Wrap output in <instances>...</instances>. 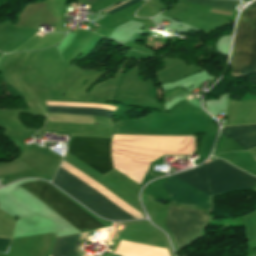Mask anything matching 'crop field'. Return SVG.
Instances as JSON below:
<instances>
[{
  "instance_id": "8a807250",
  "label": "crop field",
  "mask_w": 256,
  "mask_h": 256,
  "mask_svg": "<svg viewBox=\"0 0 256 256\" xmlns=\"http://www.w3.org/2000/svg\"><path fill=\"white\" fill-rule=\"evenodd\" d=\"M180 175L220 194L229 192L252 190L256 185V177L231 166L225 161L215 160L194 170H188ZM178 174L169 176L211 197L219 196L216 193L180 176ZM163 183V187L170 197V203L183 206L203 207L212 211V198L196 191L171 178Z\"/></svg>"
},
{
  "instance_id": "ac0d7876",
  "label": "crop field",
  "mask_w": 256,
  "mask_h": 256,
  "mask_svg": "<svg viewBox=\"0 0 256 256\" xmlns=\"http://www.w3.org/2000/svg\"><path fill=\"white\" fill-rule=\"evenodd\" d=\"M111 138L74 136L68 152L100 173L113 168ZM53 183L91 211L112 220L135 219L60 167Z\"/></svg>"
},
{
  "instance_id": "34b2d1b8",
  "label": "crop field",
  "mask_w": 256,
  "mask_h": 256,
  "mask_svg": "<svg viewBox=\"0 0 256 256\" xmlns=\"http://www.w3.org/2000/svg\"><path fill=\"white\" fill-rule=\"evenodd\" d=\"M21 186L80 232L102 227L100 223L78 208L50 185L39 181H33Z\"/></svg>"
},
{
  "instance_id": "412701ff",
  "label": "crop field",
  "mask_w": 256,
  "mask_h": 256,
  "mask_svg": "<svg viewBox=\"0 0 256 256\" xmlns=\"http://www.w3.org/2000/svg\"><path fill=\"white\" fill-rule=\"evenodd\" d=\"M242 17L256 21V3ZM242 17L235 32L231 73L256 71V22Z\"/></svg>"
},
{
  "instance_id": "f4fd0767",
  "label": "crop field",
  "mask_w": 256,
  "mask_h": 256,
  "mask_svg": "<svg viewBox=\"0 0 256 256\" xmlns=\"http://www.w3.org/2000/svg\"><path fill=\"white\" fill-rule=\"evenodd\" d=\"M209 218L208 214L201 211L168 206L164 226L180 249L199 238V233Z\"/></svg>"
},
{
  "instance_id": "dd49c442",
  "label": "crop field",
  "mask_w": 256,
  "mask_h": 256,
  "mask_svg": "<svg viewBox=\"0 0 256 256\" xmlns=\"http://www.w3.org/2000/svg\"><path fill=\"white\" fill-rule=\"evenodd\" d=\"M224 137H230L245 150L256 147V124L223 127Z\"/></svg>"
},
{
  "instance_id": "e52e79f7",
  "label": "crop field",
  "mask_w": 256,
  "mask_h": 256,
  "mask_svg": "<svg viewBox=\"0 0 256 256\" xmlns=\"http://www.w3.org/2000/svg\"><path fill=\"white\" fill-rule=\"evenodd\" d=\"M114 253L126 256H169L164 248L120 239Z\"/></svg>"
},
{
  "instance_id": "d8731c3e",
  "label": "crop field",
  "mask_w": 256,
  "mask_h": 256,
  "mask_svg": "<svg viewBox=\"0 0 256 256\" xmlns=\"http://www.w3.org/2000/svg\"><path fill=\"white\" fill-rule=\"evenodd\" d=\"M80 234L55 239L51 256H77L76 243Z\"/></svg>"
},
{
  "instance_id": "5a996713",
  "label": "crop field",
  "mask_w": 256,
  "mask_h": 256,
  "mask_svg": "<svg viewBox=\"0 0 256 256\" xmlns=\"http://www.w3.org/2000/svg\"><path fill=\"white\" fill-rule=\"evenodd\" d=\"M47 113L100 115L110 118L112 112L100 109L47 106Z\"/></svg>"
},
{
  "instance_id": "3316defc",
  "label": "crop field",
  "mask_w": 256,
  "mask_h": 256,
  "mask_svg": "<svg viewBox=\"0 0 256 256\" xmlns=\"http://www.w3.org/2000/svg\"><path fill=\"white\" fill-rule=\"evenodd\" d=\"M186 2L203 5V6H210V7H217V8H224L233 10L237 1H228V0H184Z\"/></svg>"
},
{
  "instance_id": "28ad6ade",
  "label": "crop field",
  "mask_w": 256,
  "mask_h": 256,
  "mask_svg": "<svg viewBox=\"0 0 256 256\" xmlns=\"http://www.w3.org/2000/svg\"><path fill=\"white\" fill-rule=\"evenodd\" d=\"M12 240L0 238V252L7 253Z\"/></svg>"
},
{
  "instance_id": "d1516ede",
  "label": "crop field",
  "mask_w": 256,
  "mask_h": 256,
  "mask_svg": "<svg viewBox=\"0 0 256 256\" xmlns=\"http://www.w3.org/2000/svg\"><path fill=\"white\" fill-rule=\"evenodd\" d=\"M138 1H140V0H133V1H130V2L126 3V4H124V5L120 4V5H122V6L118 5V6H120V7L116 6V7H118V8L114 7V8H116V9L112 8V9H114V10L110 9V10H112V11L108 10V11H110V12H108V11H106V12L113 14V13H115V12H117V11H119V10H121V9H123V8H125V7H127V6H129V5H131V4H134V3L138 2Z\"/></svg>"
},
{
  "instance_id": "22f410ed",
  "label": "crop field",
  "mask_w": 256,
  "mask_h": 256,
  "mask_svg": "<svg viewBox=\"0 0 256 256\" xmlns=\"http://www.w3.org/2000/svg\"><path fill=\"white\" fill-rule=\"evenodd\" d=\"M13 142L21 149V151L24 150V147L21 144H18L15 141H13Z\"/></svg>"
},
{
  "instance_id": "cbeb9de0",
  "label": "crop field",
  "mask_w": 256,
  "mask_h": 256,
  "mask_svg": "<svg viewBox=\"0 0 256 256\" xmlns=\"http://www.w3.org/2000/svg\"><path fill=\"white\" fill-rule=\"evenodd\" d=\"M93 1H94V0H87L86 2H88V3L91 4Z\"/></svg>"
}]
</instances>
